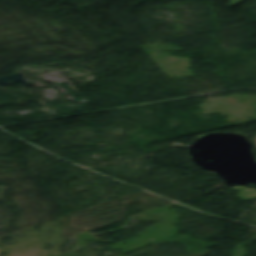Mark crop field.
Segmentation results:
<instances>
[{"instance_id":"crop-field-1","label":"crop field","mask_w":256,"mask_h":256,"mask_svg":"<svg viewBox=\"0 0 256 256\" xmlns=\"http://www.w3.org/2000/svg\"><path fill=\"white\" fill-rule=\"evenodd\" d=\"M230 1L234 2L233 4L230 5V6L232 7V6H234V5H236V4L240 3V2H242V1H244V0H230Z\"/></svg>"}]
</instances>
